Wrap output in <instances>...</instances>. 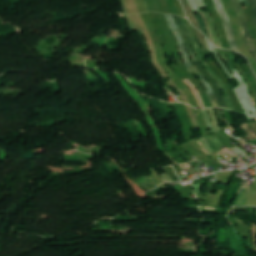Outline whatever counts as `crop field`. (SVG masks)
Wrapping results in <instances>:
<instances>
[{"instance_id": "obj_8", "label": "crop field", "mask_w": 256, "mask_h": 256, "mask_svg": "<svg viewBox=\"0 0 256 256\" xmlns=\"http://www.w3.org/2000/svg\"><path fill=\"white\" fill-rule=\"evenodd\" d=\"M202 14V13H201ZM200 13H199V16H196V18L198 19V21H199V23H200V25H201V28H202V30H203V33L211 40V38H210V36H209V34H208V30H207V25H206V23H205V21H204V19H203V17H202V15H201ZM211 42H212V40H211Z\"/></svg>"}, {"instance_id": "obj_3", "label": "crop field", "mask_w": 256, "mask_h": 256, "mask_svg": "<svg viewBox=\"0 0 256 256\" xmlns=\"http://www.w3.org/2000/svg\"><path fill=\"white\" fill-rule=\"evenodd\" d=\"M183 23L185 24L189 34H190V38H191V41H192V44H193V47H194V50H195V53H196V57L197 59L203 64V66L207 69V71L210 73V75L213 77V79L216 81V83L218 84V86L220 88H224L225 89V92H226V95L224 96V99L228 105V108L230 110H234L233 108V105L231 103V100H230V97L228 95V92L223 84V82L219 79V77L217 76V74L211 69V67L207 64V62H203L202 61V55L200 53V48H199V45H198V42H197V39H196V35H195V32L192 28V25L190 24V22L185 19V18H181ZM235 111V110H234Z\"/></svg>"}, {"instance_id": "obj_12", "label": "crop field", "mask_w": 256, "mask_h": 256, "mask_svg": "<svg viewBox=\"0 0 256 256\" xmlns=\"http://www.w3.org/2000/svg\"><path fill=\"white\" fill-rule=\"evenodd\" d=\"M241 1H245L246 5H247V2H246V0H240V3H241ZM247 6H248V5H247Z\"/></svg>"}, {"instance_id": "obj_1", "label": "crop field", "mask_w": 256, "mask_h": 256, "mask_svg": "<svg viewBox=\"0 0 256 256\" xmlns=\"http://www.w3.org/2000/svg\"><path fill=\"white\" fill-rule=\"evenodd\" d=\"M175 21H176V25H177V28L181 34V36L183 37L184 39V42L187 46V49H188V52L190 54L193 55L194 59H192V63L198 68V70L201 72V74L204 76V78L211 84L212 88H213V91L219 101V104L221 107H224V108H227L226 104H225V101L221 95V92L219 90V88L217 87L216 83L214 82V80L211 78V76L207 73V71L201 66V64L197 61L196 57H195V54L193 52V49L191 47V41H190V38L187 34V31L182 23V21L180 20V18L176 15H173ZM228 109V108H227Z\"/></svg>"}, {"instance_id": "obj_5", "label": "crop field", "mask_w": 256, "mask_h": 256, "mask_svg": "<svg viewBox=\"0 0 256 256\" xmlns=\"http://www.w3.org/2000/svg\"><path fill=\"white\" fill-rule=\"evenodd\" d=\"M234 4H235V7L237 9V12H238V15H239V18H240V22H241V26H242V30H243V35H244V40L245 42L247 43L248 47L250 48V50L252 51L255 59H256V47L249 35V32H248V28H247V24H246V20H245V17H244V13H243V9L241 7V5L239 4V1L238 0H233Z\"/></svg>"}, {"instance_id": "obj_9", "label": "crop field", "mask_w": 256, "mask_h": 256, "mask_svg": "<svg viewBox=\"0 0 256 256\" xmlns=\"http://www.w3.org/2000/svg\"><path fill=\"white\" fill-rule=\"evenodd\" d=\"M248 2L252 10L254 22L256 24V0H248Z\"/></svg>"}, {"instance_id": "obj_7", "label": "crop field", "mask_w": 256, "mask_h": 256, "mask_svg": "<svg viewBox=\"0 0 256 256\" xmlns=\"http://www.w3.org/2000/svg\"><path fill=\"white\" fill-rule=\"evenodd\" d=\"M203 138L216 152L222 150L221 147H223V145L220 143V141L216 138L215 135L206 136Z\"/></svg>"}, {"instance_id": "obj_11", "label": "crop field", "mask_w": 256, "mask_h": 256, "mask_svg": "<svg viewBox=\"0 0 256 256\" xmlns=\"http://www.w3.org/2000/svg\"><path fill=\"white\" fill-rule=\"evenodd\" d=\"M251 142H253L256 145V140H252Z\"/></svg>"}, {"instance_id": "obj_2", "label": "crop field", "mask_w": 256, "mask_h": 256, "mask_svg": "<svg viewBox=\"0 0 256 256\" xmlns=\"http://www.w3.org/2000/svg\"><path fill=\"white\" fill-rule=\"evenodd\" d=\"M166 16V19H167V22L169 24V27L171 29V31L174 33L173 35L175 36V38L177 39V43H178V47H179V51L180 53L182 54L183 58L185 59V62H186V67L189 68V67H193L194 65L191 63V61L189 60L188 58V55H187V52H186V49H185V46H184V42H183V39L182 37L180 36L177 28H176V25L174 23V20L172 18L171 15H165ZM189 72L191 73H196L198 74L199 76L200 73L198 72V70L196 69V67L194 68H190L188 69ZM200 82L202 83V85L204 86L208 96H211V95H214L213 91L211 90L209 84L206 82V80L201 76V79H200ZM213 107H219L216 99H215V96H212V97H209Z\"/></svg>"}, {"instance_id": "obj_10", "label": "crop field", "mask_w": 256, "mask_h": 256, "mask_svg": "<svg viewBox=\"0 0 256 256\" xmlns=\"http://www.w3.org/2000/svg\"><path fill=\"white\" fill-rule=\"evenodd\" d=\"M216 49H217V48H216ZM217 51H218V53L220 54L221 58H224V59H227V60H228L230 70H234L235 68L232 66L231 62L229 61V59H228V57H227V55H226V53H225L223 50H221V49H217Z\"/></svg>"}, {"instance_id": "obj_4", "label": "crop field", "mask_w": 256, "mask_h": 256, "mask_svg": "<svg viewBox=\"0 0 256 256\" xmlns=\"http://www.w3.org/2000/svg\"><path fill=\"white\" fill-rule=\"evenodd\" d=\"M213 4H214V7L218 11V13H219V15H220V17H221V19L224 23V27H225L226 33L228 35L230 46H231L232 50H235V51L239 52L238 46H237L236 41L233 37V33H232V29H231V25H230L228 16L225 12V9H224V6H223L221 0H213Z\"/></svg>"}, {"instance_id": "obj_6", "label": "crop field", "mask_w": 256, "mask_h": 256, "mask_svg": "<svg viewBox=\"0 0 256 256\" xmlns=\"http://www.w3.org/2000/svg\"><path fill=\"white\" fill-rule=\"evenodd\" d=\"M204 15L206 16L207 20H208V23H209V27H210V30L212 32V36H213V39H214V42H215V45L222 48L221 47V43H220V40L217 36V32H216V27L214 25V22H213V19L211 17V13L210 12H203Z\"/></svg>"}]
</instances>
